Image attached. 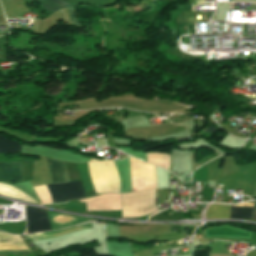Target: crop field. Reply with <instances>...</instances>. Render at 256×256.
Segmentation results:
<instances>
[{"label":"crop field","instance_id":"obj_1","mask_svg":"<svg viewBox=\"0 0 256 256\" xmlns=\"http://www.w3.org/2000/svg\"><path fill=\"white\" fill-rule=\"evenodd\" d=\"M95 192L120 193L117 167L113 161L88 162Z\"/></svg>","mask_w":256,"mask_h":256},{"label":"crop field","instance_id":"obj_2","mask_svg":"<svg viewBox=\"0 0 256 256\" xmlns=\"http://www.w3.org/2000/svg\"><path fill=\"white\" fill-rule=\"evenodd\" d=\"M54 202L87 198L81 181L46 185Z\"/></svg>","mask_w":256,"mask_h":256},{"label":"crop field","instance_id":"obj_3","mask_svg":"<svg viewBox=\"0 0 256 256\" xmlns=\"http://www.w3.org/2000/svg\"><path fill=\"white\" fill-rule=\"evenodd\" d=\"M79 202L87 203L88 210H121L120 194H106Z\"/></svg>","mask_w":256,"mask_h":256},{"label":"crop field","instance_id":"obj_4","mask_svg":"<svg viewBox=\"0 0 256 256\" xmlns=\"http://www.w3.org/2000/svg\"><path fill=\"white\" fill-rule=\"evenodd\" d=\"M26 218L28 234L51 230L46 211L34 207H26Z\"/></svg>","mask_w":256,"mask_h":256},{"label":"crop field","instance_id":"obj_5","mask_svg":"<svg viewBox=\"0 0 256 256\" xmlns=\"http://www.w3.org/2000/svg\"><path fill=\"white\" fill-rule=\"evenodd\" d=\"M29 251L20 235H9L0 232V252H27Z\"/></svg>","mask_w":256,"mask_h":256},{"label":"crop field","instance_id":"obj_6","mask_svg":"<svg viewBox=\"0 0 256 256\" xmlns=\"http://www.w3.org/2000/svg\"><path fill=\"white\" fill-rule=\"evenodd\" d=\"M0 180L23 181L20 163H0Z\"/></svg>","mask_w":256,"mask_h":256},{"label":"crop field","instance_id":"obj_7","mask_svg":"<svg viewBox=\"0 0 256 256\" xmlns=\"http://www.w3.org/2000/svg\"><path fill=\"white\" fill-rule=\"evenodd\" d=\"M46 158L49 164L53 183L69 181L66 174L64 162L61 160H55L48 157Z\"/></svg>","mask_w":256,"mask_h":256},{"label":"crop field","instance_id":"obj_8","mask_svg":"<svg viewBox=\"0 0 256 256\" xmlns=\"http://www.w3.org/2000/svg\"><path fill=\"white\" fill-rule=\"evenodd\" d=\"M0 195L13 197V198L25 200L28 202L40 204L35 199L31 198L30 196H28L21 190L13 187L11 185H8L6 183H3V182H0Z\"/></svg>","mask_w":256,"mask_h":256},{"label":"crop field","instance_id":"obj_9","mask_svg":"<svg viewBox=\"0 0 256 256\" xmlns=\"http://www.w3.org/2000/svg\"><path fill=\"white\" fill-rule=\"evenodd\" d=\"M231 206L225 205H210L207 212V219H225L229 218Z\"/></svg>","mask_w":256,"mask_h":256},{"label":"crop field","instance_id":"obj_10","mask_svg":"<svg viewBox=\"0 0 256 256\" xmlns=\"http://www.w3.org/2000/svg\"><path fill=\"white\" fill-rule=\"evenodd\" d=\"M31 1H37L40 3L41 6L55 12L65 6H69L66 2L62 0H31Z\"/></svg>","mask_w":256,"mask_h":256},{"label":"crop field","instance_id":"obj_11","mask_svg":"<svg viewBox=\"0 0 256 256\" xmlns=\"http://www.w3.org/2000/svg\"><path fill=\"white\" fill-rule=\"evenodd\" d=\"M21 145L15 141L7 140L0 136V153L10 152V151H20Z\"/></svg>","mask_w":256,"mask_h":256},{"label":"crop field","instance_id":"obj_12","mask_svg":"<svg viewBox=\"0 0 256 256\" xmlns=\"http://www.w3.org/2000/svg\"><path fill=\"white\" fill-rule=\"evenodd\" d=\"M253 208L232 207L230 218L249 220Z\"/></svg>","mask_w":256,"mask_h":256},{"label":"crop field","instance_id":"obj_13","mask_svg":"<svg viewBox=\"0 0 256 256\" xmlns=\"http://www.w3.org/2000/svg\"><path fill=\"white\" fill-rule=\"evenodd\" d=\"M67 9H68V12H69V14H70V17H71V20H72L74 26H80V25L78 24L76 18H75V12H74L73 7H69V8H67Z\"/></svg>","mask_w":256,"mask_h":256},{"label":"crop field","instance_id":"obj_14","mask_svg":"<svg viewBox=\"0 0 256 256\" xmlns=\"http://www.w3.org/2000/svg\"><path fill=\"white\" fill-rule=\"evenodd\" d=\"M250 220L256 221V204H255V207H254V210H253V213H252V216H251Z\"/></svg>","mask_w":256,"mask_h":256}]
</instances>
